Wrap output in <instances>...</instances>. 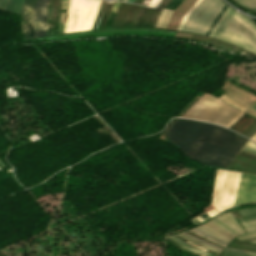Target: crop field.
<instances>
[{
    "instance_id": "crop-field-23",
    "label": "crop field",
    "mask_w": 256,
    "mask_h": 256,
    "mask_svg": "<svg viewBox=\"0 0 256 256\" xmlns=\"http://www.w3.org/2000/svg\"><path fill=\"white\" fill-rule=\"evenodd\" d=\"M178 235L181 236V237H183V238H185V239H187V240H189V241H191V242H193V243H196V244H198V245H200V246H203V247H205V248H207V249L213 250V251H215V252H217V253L220 252V251H218V250H216V249L207 247V246H205V245H203V244H201V243H199V242H197V241H195V240H193V239H191V238H189V237L183 236V235H181V234H178Z\"/></svg>"
},
{
    "instance_id": "crop-field-17",
    "label": "crop field",
    "mask_w": 256,
    "mask_h": 256,
    "mask_svg": "<svg viewBox=\"0 0 256 256\" xmlns=\"http://www.w3.org/2000/svg\"><path fill=\"white\" fill-rule=\"evenodd\" d=\"M254 210H256V208L239 210L238 212L243 213V212H249V211H254ZM255 212H249V213H255ZM249 213H243V214H249ZM243 214H240V215H243ZM250 215H253V214H250ZM244 216H248V215H244ZM244 216H241V217H244ZM253 219H256V216H251V217H247V218H239L238 221L242 222V221H248V220H253Z\"/></svg>"
},
{
    "instance_id": "crop-field-12",
    "label": "crop field",
    "mask_w": 256,
    "mask_h": 256,
    "mask_svg": "<svg viewBox=\"0 0 256 256\" xmlns=\"http://www.w3.org/2000/svg\"><path fill=\"white\" fill-rule=\"evenodd\" d=\"M24 0H8L5 10L19 13L21 12V7Z\"/></svg>"
},
{
    "instance_id": "crop-field-26",
    "label": "crop field",
    "mask_w": 256,
    "mask_h": 256,
    "mask_svg": "<svg viewBox=\"0 0 256 256\" xmlns=\"http://www.w3.org/2000/svg\"><path fill=\"white\" fill-rule=\"evenodd\" d=\"M253 221H255V220H253ZM248 222H251V221H248ZM243 223H247V222H242L241 224H243ZM253 225H256V222L244 224V225H242V226H243L244 228H246V227H250V226H253ZM254 227H256V226H254ZM254 227L246 228L245 230L251 229V228H254Z\"/></svg>"
},
{
    "instance_id": "crop-field-42",
    "label": "crop field",
    "mask_w": 256,
    "mask_h": 256,
    "mask_svg": "<svg viewBox=\"0 0 256 256\" xmlns=\"http://www.w3.org/2000/svg\"><path fill=\"white\" fill-rule=\"evenodd\" d=\"M251 243H254V242H256V240L255 241H250Z\"/></svg>"
},
{
    "instance_id": "crop-field-14",
    "label": "crop field",
    "mask_w": 256,
    "mask_h": 256,
    "mask_svg": "<svg viewBox=\"0 0 256 256\" xmlns=\"http://www.w3.org/2000/svg\"><path fill=\"white\" fill-rule=\"evenodd\" d=\"M165 12H166V10L164 9L155 27H158V26H159V24H160V22H161V20H162V18H163V16H164V14H165ZM172 13H173V11H169V10L167 11V13H166V15H165V17H164V19H163V21H162L160 27H163V28L166 27V25H167V23H168V21H169L171 15H172Z\"/></svg>"
},
{
    "instance_id": "crop-field-7",
    "label": "crop field",
    "mask_w": 256,
    "mask_h": 256,
    "mask_svg": "<svg viewBox=\"0 0 256 256\" xmlns=\"http://www.w3.org/2000/svg\"><path fill=\"white\" fill-rule=\"evenodd\" d=\"M254 201H256V176L241 173L233 207Z\"/></svg>"
},
{
    "instance_id": "crop-field-38",
    "label": "crop field",
    "mask_w": 256,
    "mask_h": 256,
    "mask_svg": "<svg viewBox=\"0 0 256 256\" xmlns=\"http://www.w3.org/2000/svg\"><path fill=\"white\" fill-rule=\"evenodd\" d=\"M256 103V102H255ZM252 105H254V106H256V104H252ZM250 108H252V109H254V110H256V108L255 107H253V106H251Z\"/></svg>"
},
{
    "instance_id": "crop-field-18",
    "label": "crop field",
    "mask_w": 256,
    "mask_h": 256,
    "mask_svg": "<svg viewBox=\"0 0 256 256\" xmlns=\"http://www.w3.org/2000/svg\"><path fill=\"white\" fill-rule=\"evenodd\" d=\"M228 6H226L224 4L222 10L220 11L218 17L216 18V20L213 22V24L211 25V27L208 29V31L205 33L206 36H209V34L211 33V31L213 30V28L215 27V25L217 24V22L219 21V19L221 18V16L223 15V13L225 12V10L227 9Z\"/></svg>"
},
{
    "instance_id": "crop-field-34",
    "label": "crop field",
    "mask_w": 256,
    "mask_h": 256,
    "mask_svg": "<svg viewBox=\"0 0 256 256\" xmlns=\"http://www.w3.org/2000/svg\"><path fill=\"white\" fill-rule=\"evenodd\" d=\"M255 229H256V228H255ZM255 229H251V230H255ZM251 230H247L246 232L251 231ZM254 232H256V231L248 232V233H245V234H243V235L250 234V233H254ZM241 236H242V235H241Z\"/></svg>"
},
{
    "instance_id": "crop-field-5",
    "label": "crop field",
    "mask_w": 256,
    "mask_h": 256,
    "mask_svg": "<svg viewBox=\"0 0 256 256\" xmlns=\"http://www.w3.org/2000/svg\"><path fill=\"white\" fill-rule=\"evenodd\" d=\"M223 4L221 0H202L187 17L181 31L204 35Z\"/></svg>"
},
{
    "instance_id": "crop-field-2",
    "label": "crop field",
    "mask_w": 256,
    "mask_h": 256,
    "mask_svg": "<svg viewBox=\"0 0 256 256\" xmlns=\"http://www.w3.org/2000/svg\"><path fill=\"white\" fill-rule=\"evenodd\" d=\"M214 97L205 93L195 101L181 117L198 119L229 127L243 115L245 109L248 108L224 95L219 99ZM221 100L242 110V112L228 106Z\"/></svg>"
},
{
    "instance_id": "crop-field-22",
    "label": "crop field",
    "mask_w": 256,
    "mask_h": 256,
    "mask_svg": "<svg viewBox=\"0 0 256 256\" xmlns=\"http://www.w3.org/2000/svg\"><path fill=\"white\" fill-rule=\"evenodd\" d=\"M223 252L237 255V256H256V255H252V254H247V253H242V252H237V251H232V250H227V249H224ZM222 255H224V254H222ZM225 256H228V255H225Z\"/></svg>"
},
{
    "instance_id": "crop-field-36",
    "label": "crop field",
    "mask_w": 256,
    "mask_h": 256,
    "mask_svg": "<svg viewBox=\"0 0 256 256\" xmlns=\"http://www.w3.org/2000/svg\"><path fill=\"white\" fill-rule=\"evenodd\" d=\"M190 243V242H189ZM191 244H193V243H191ZM193 245H195V244H193ZM195 246H197V247H199V248H201V249H203V250H207V249H205V248H203V247H200V246H198V245H195Z\"/></svg>"
},
{
    "instance_id": "crop-field-13",
    "label": "crop field",
    "mask_w": 256,
    "mask_h": 256,
    "mask_svg": "<svg viewBox=\"0 0 256 256\" xmlns=\"http://www.w3.org/2000/svg\"><path fill=\"white\" fill-rule=\"evenodd\" d=\"M67 5H68V0H63L61 14H60V20H59V26H58V33H63Z\"/></svg>"
},
{
    "instance_id": "crop-field-9",
    "label": "crop field",
    "mask_w": 256,
    "mask_h": 256,
    "mask_svg": "<svg viewBox=\"0 0 256 256\" xmlns=\"http://www.w3.org/2000/svg\"><path fill=\"white\" fill-rule=\"evenodd\" d=\"M36 0H25V4L21 13V21H22V32L23 37L25 38H31L33 36V29H32V19L31 14L33 12L34 6H35ZM23 18H25V28H26V36L24 34V28H23Z\"/></svg>"
},
{
    "instance_id": "crop-field-45",
    "label": "crop field",
    "mask_w": 256,
    "mask_h": 256,
    "mask_svg": "<svg viewBox=\"0 0 256 256\" xmlns=\"http://www.w3.org/2000/svg\"><path fill=\"white\" fill-rule=\"evenodd\" d=\"M243 151V150H242ZM246 152V151H245ZM256 155V154H255Z\"/></svg>"
},
{
    "instance_id": "crop-field-35",
    "label": "crop field",
    "mask_w": 256,
    "mask_h": 256,
    "mask_svg": "<svg viewBox=\"0 0 256 256\" xmlns=\"http://www.w3.org/2000/svg\"><path fill=\"white\" fill-rule=\"evenodd\" d=\"M192 231V230H191ZM194 232V231H193ZM196 233V232H195ZM198 234V233H197ZM200 235V234H199ZM202 236V235H201ZM204 237V236H203ZM205 239H207V240H209V241H211V242H214V241H212V240H210V239H208V238H206L205 237ZM214 243H216V242H214ZM216 244H218V243H216ZM220 245V244H219ZM222 246V245H221ZM224 247V246H223Z\"/></svg>"
},
{
    "instance_id": "crop-field-16",
    "label": "crop field",
    "mask_w": 256,
    "mask_h": 256,
    "mask_svg": "<svg viewBox=\"0 0 256 256\" xmlns=\"http://www.w3.org/2000/svg\"><path fill=\"white\" fill-rule=\"evenodd\" d=\"M205 226L211 228L212 230L222 234L223 236L229 238V239H233L234 237H232L231 235H229L228 233H226L225 231H223L222 229H220L219 227H217L216 225H214L213 223L209 222L204 224Z\"/></svg>"
},
{
    "instance_id": "crop-field-1",
    "label": "crop field",
    "mask_w": 256,
    "mask_h": 256,
    "mask_svg": "<svg viewBox=\"0 0 256 256\" xmlns=\"http://www.w3.org/2000/svg\"><path fill=\"white\" fill-rule=\"evenodd\" d=\"M166 133L186 156L202 164L222 167L227 166L247 140L226 128L180 118Z\"/></svg>"
},
{
    "instance_id": "crop-field-30",
    "label": "crop field",
    "mask_w": 256,
    "mask_h": 256,
    "mask_svg": "<svg viewBox=\"0 0 256 256\" xmlns=\"http://www.w3.org/2000/svg\"><path fill=\"white\" fill-rule=\"evenodd\" d=\"M213 220H215V219H213ZM213 220H212V221H213ZM212 221H211V222H212ZM215 221L218 222L217 220H215ZM215 221H214V222H215ZM214 222H213V223H214ZM216 222H215V223H216ZM218 223H219V222H218ZM218 223H217V224H218ZM217 224H216V225H217ZM220 224H221V223H220ZM220 224H218V225H220ZM221 225H222V224H221ZM221 225H220V226H221ZM220 226H219V227H220ZM223 226H224V225H223ZM223 226H221V227H223ZM224 227H226V226H224ZM224 227H223V228H224ZM226 228H227V227H226ZM226 228H224V229H226ZM227 229H229V228H227ZM227 229H226V230H227ZM229 230H230V229H229ZM229 230H227V231H229ZM230 231H232V230H230ZM230 231H229V232H230ZM232 232H233V231H232ZM232 232H230V233H232ZM234 233H235V232H234ZM234 233H232V234L235 235L236 233H235V234H234ZM237 235H238V234H237ZM237 235H235V236H237Z\"/></svg>"
},
{
    "instance_id": "crop-field-21",
    "label": "crop field",
    "mask_w": 256,
    "mask_h": 256,
    "mask_svg": "<svg viewBox=\"0 0 256 256\" xmlns=\"http://www.w3.org/2000/svg\"><path fill=\"white\" fill-rule=\"evenodd\" d=\"M243 150L256 153V144L249 140L247 144L244 146Z\"/></svg>"
},
{
    "instance_id": "crop-field-20",
    "label": "crop field",
    "mask_w": 256,
    "mask_h": 256,
    "mask_svg": "<svg viewBox=\"0 0 256 256\" xmlns=\"http://www.w3.org/2000/svg\"><path fill=\"white\" fill-rule=\"evenodd\" d=\"M169 237H170V236H169ZM171 237H173L174 239H176L177 241H179L180 243H182L184 246H186V247H188V248H191V249H193V250H196V251H199V252H202V253L211 255V256H215V255H212V254H209V253L200 251V250H198V249H195V248L191 247L190 245H188L187 243H185L184 241H182V240H180V239H178V238H176V237H174V236H171ZM171 237H170V238H171ZM173 238H171V239H173ZM174 239H173V240H174ZM176 240H174V241H176ZM177 241H176V242H177ZM179 242H177V243H179ZM180 243H179V244H180ZM182 244H180V245H182ZM183 245H182V246H183ZM184 246H183V247H184ZM186 247H185V248H186ZM188 248H187V249H188ZM191 249H190V250H191ZM193 250H192V251H193ZM196 251H195V252H196ZM199 252H198V253H199ZM202 253H200V254H202ZM205 254H203V255H205ZM208 255H207V256H208Z\"/></svg>"
},
{
    "instance_id": "crop-field-32",
    "label": "crop field",
    "mask_w": 256,
    "mask_h": 256,
    "mask_svg": "<svg viewBox=\"0 0 256 256\" xmlns=\"http://www.w3.org/2000/svg\"><path fill=\"white\" fill-rule=\"evenodd\" d=\"M254 236H256V234H252V235H248V236L239 237V238H237V239H238V240H239V239L243 240V239L251 238V237H254Z\"/></svg>"
},
{
    "instance_id": "crop-field-37",
    "label": "crop field",
    "mask_w": 256,
    "mask_h": 256,
    "mask_svg": "<svg viewBox=\"0 0 256 256\" xmlns=\"http://www.w3.org/2000/svg\"><path fill=\"white\" fill-rule=\"evenodd\" d=\"M251 139L256 141V133L251 137Z\"/></svg>"
},
{
    "instance_id": "crop-field-31",
    "label": "crop field",
    "mask_w": 256,
    "mask_h": 256,
    "mask_svg": "<svg viewBox=\"0 0 256 256\" xmlns=\"http://www.w3.org/2000/svg\"><path fill=\"white\" fill-rule=\"evenodd\" d=\"M246 56L256 60V54H253V53H250V52H247Z\"/></svg>"
},
{
    "instance_id": "crop-field-43",
    "label": "crop field",
    "mask_w": 256,
    "mask_h": 256,
    "mask_svg": "<svg viewBox=\"0 0 256 256\" xmlns=\"http://www.w3.org/2000/svg\"><path fill=\"white\" fill-rule=\"evenodd\" d=\"M129 2H132L133 0H128Z\"/></svg>"
},
{
    "instance_id": "crop-field-33",
    "label": "crop field",
    "mask_w": 256,
    "mask_h": 256,
    "mask_svg": "<svg viewBox=\"0 0 256 256\" xmlns=\"http://www.w3.org/2000/svg\"><path fill=\"white\" fill-rule=\"evenodd\" d=\"M158 0H152L151 3H150V6H156Z\"/></svg>"
},
{
    "instance_id": "crop-field-6",
    "label": "crop field",
    "mask_w": 256,
    "mask_h": 256,
    "mask_svg": "<svg viewBox=\"0 0 256 256\" xmlns=\"http://www.w3.org/2000/svg\"><path fill=\"white\" fill-rule=\"evenodd\" d=\"M239 174L217 169L210 205L219 211L232 207Z\"/></svg>"
},
{
    "instance_id": "crop-field-44",
    "label": "crop field",
    "mask_w": 256,
    "mask_h": 256,
    "mask_svg": "<svg viewBox=\"0 0 256 256\" xmlns=\"http://www.w3.org/2000/svg\"><path fill=\"white\" fill-rule=\"evenodd\" d=\"M124 1H127V0H124Z\"/></svg>"
},
{
    "instance_id": "crop-field-10",
    "label": "crop field",
    "mask_w": 256,
    "mask_h": 256,
    "mask_svg": "<svg viewBox=\"0 0 256 256\" xmlns=\"http://www.w3.org/2000/svg\"><path fill=\"white\" fill-rule=\"evenodd\" d=\"M215 219H217L218 221H220L221 223H223L227 227L231 228L232 230H234L239 235L245 232L242 229V227L237 223V221L233 218L231 213H226V214L221 215V216H219Z\"/></svg>"
},
{
    "instance_id": "crop-field-15",
    "label": "crop field",
    "mask_w": 256,
    "mask_h": 256,
    "mask_svg": "<svg viewBox=\"0 0 256 256\" xmlns=\"http://www.w3.org/2000/svg\"><path fill=\"white\" fill-rule=\"evenodd\" d=\"M235 1L251 8V9L256 10V0H235ZM234 3H236V2H234ZM236 4H238V3H236ZM238 5H240V4H238ZM240 6H242V5H240ZM242 7H244V6H242ZM244 8H246V7H244ZM246 9H248V8H246ZM251 9H248V10L252 11V12H256V11L251 10Z\"/></svg>"
},
{
    "instance_id": "crop-field-8",
    "label": "crop field",
    "mask_w": 256,
    "mask_h": 256,
    "mask_svg": "<svg viewBox=\"0 0 256 256\" xmlns=\"http://www.w3.org/2000/svg\"><path fill=\"white\" fill-rule=\"evenodd\" d=\"M48 0H37V4L32 15L33 27L35 37L45 35V22L47 16ZM36 18H38L37 30L36 33Z\"/></svg>"
},
{
    "instance_id": "crop-field-19",
    "label": "crop field",
    "mask_w": 256,
    "mask_h": 256,
    "mask_svg": "<svg viewBox=\"0 0 256 256\" xmlns=\"http://www.w3.org/2000/svg\"><path fill=\"white\" fill-rule=\"evenodd\" d=\"M184 0H171L165 9L175 11Z\"/></svg>"
},
{
    "instance_id": "crop-field-41",
    "label": "crop field",
    "mask_w": 256,
    "mask_h": 256,
    "mask_svg": "<svg viewBox=\"0 0 256 256\" xmlns=\"http://www.w3.org/2000/svg\"><path fill=\"white\" fill-rule=\"evenodd\" d=\"M203 226V225H202ZM205 227V226H204ZM199 228V227H198ZM207 228V227H206ZM201 229V228H200ZM209 229V228H208ZM203 230V229H202ZM205 231V230H204ZM212 231V230H211ZM207 232V231H206ZM214 232V231H213ZM216 233V232H215ZM223 237V236H222ZM225 238V237H224ZM227 239V238H226ZM229 240V239H228ZM231 241V240H230Z\"/></svg>"
},
{
    "instance_id": "crop-field-4",
    "label": "crop field",
    "mask_w": 256,
    "mask_h": 256,
    "mask_svg": "<svg viewBox=\"0 0 256 256\" xmlns=\"http://www.w3.org/2000/svg\"><path fill=\"white\" fill-rule=\"evenodd\" d=\"M101 0H69L64 33L91 30Z\"/></svg>"
},
{
    "instance_id": "crop-field-25",
    "label": "crop field",
    "mask_w": 256,
    "mask_h": 256,
    "mask_svg": "<svg viewBox=\"0 0 256 256\" xmlns=\"http://www.w3.org/2000/svg\"><path fill=\"white\" fill-rule=\"evenodd\" d=\"M197 230H199V231H201V232H203V233H205V234H207V235H209V236H211V237H213V238H215V239H217V240H219V241H221V242H223V243H225V244H228V243H226V242H224V241H222V240H220V239H218V238H216V237H214V236H212V235H210V234H208V233H206V232H204V231H202V230H200V229H198V228H196ZM193 230H195V229H193ZM196 231V230H195ZM198 232V231H197ZM200 233V232H199ZM202 234V233H201ZM204 235V234H203ZM207 235H205V236H207ZM209 236H207V237H209ZM211 237H209V238H211ZM213 238H211V239H213ZM215 239H213V240H215ZM217 240H215V241H217ZM219 241H217V242H219ZM221 242H219V243H221ZM223 243H221V244H223ZM225 244H223V245H225Z\"/></svg>"
},
{
    "instance_id": "crop-field-27",
    "label": "crop field",
    "mask_w": 256,
    "mask_h": 256,
    "mask_svg": "<svg viewBox=\"0 0 256 256\" xmlns=\"http://www.w3.org/2000/svg\"><path fill=\"white\" fill-rule=\"evenodd\" d=\"M170 0H164L160 5L159 7L157 8V11H162V9L167 5V3L169 2Z\"/></svg>"
},
{
    "instance_id": "crop-field-29",
    "label": "crop field",
    "mask_w": 256,
    "mask_h": 256,
    "mask_svg": "<svg viewBox=\"0 0 256 256\" xmlns=\"http://www.w3.org/2000/svg\"><path fill=\"white\" fill-rule=\"evenodd\" d=\"M184 233H186V232H184ZM186 234H188V233H186ZM188 235H190V234H188ZM190 236H192V235H190ZM190 236H189V237H190ZM192 237H194V236H192ZM192 237H191V238H192ZM194 238H196V237H194ZM194 238H193V239H194ZM197 239H198V238H197ZM197 239H195V240H197ZM199 240H200V239H199ZM199 240H197V241H199ZM201 241H202V240H201ZM201 241H199V242H201ZM201 243H204V242H201ZM206 243H207V242H206ZM206 243H204V244H206ZM206 245H209V244H206ZM211 245H212V244H211ZM211 245H209V246H211ZM213 246H214V245H213ZM213 246H211V247H213ZM216 247H217V246H216ZM216 247H214V248H216ZM218 248H220V247H218ZM218 248H216V249H218ZM220 249H222V248H220ZM220 249H218V250H220ZM220 251H222V250H220Z\"/></svg>"
},
{
    "instance_id": "crop-field-28",
    "label": "crop field",
    "mask_w": 256,
    "mask_h": 256,
    "mask_svg": "<svg viewBox=\"0 0 256 256\" xmlns=\"http://www.w3.org/2000/svg\"><path fill=\"white\" fill-rule=\"evenodd\" d=\"M6 3H7V0H0V8L4 10Z\"/></svg>"
},
{
    "instance_id": "crop-field-3",
    "label": "crop field",
    "mask_w": 256,
    "mask_h": 256,
    "mask_svg": "<svg viewBox=\"0 0 256 256\" xmlns=\"http://www.w3.org/2000/svg\"><path fill=\"white\" fill-rule=\"evenodd\" d=\"M210 36L256 53V26L229 7Z\"/></svg>"
},
{
    "instance_id": "crop-field-40",
    "label": "crop field",
    "mask_w": 256,
    "mask_h": 256,
    "mask_svg": "<svg viewBox=\"0 0 256 256\" xmlns=\"http://www.w3.org/2000/svg\"><path fill=\"white\" fill-rule=\"evenodd\" d=\"M254 239H256V237H255V238H251V239H247V240H245V241H250V240H254Z\"/></svg>"
},
{
    "instance_id": "crop-field-39",
    "label": "crop field",
    "mask_w": 256,
    "mask_h": 256,
    "mask_svg": "<svg viewBox=\"0 0 256 256\" xmlns=\"http://www.w3.org/2000/svg\"><path fill=\"white\" fill-rule=\"evenodd\" d=\"M104 5H105V3H104ZM103 7H104V6H103ZM102 10H103V9H102ZM101 13H102V11H101ZM100 16H101V14H100ZM99 19H100V17H99ZM98 22H99V20H98ZM97 25H98V23H97ZM97 25H96V28H97ZM96 28H95V29H96Z\"/></svg>"
},
{
    "instance_id": "crop-field-24",
    "label": "crop field",
    "mask_w": 256,
    "mask_h": 256,
    "mask_svg": "<svg viewBox=\"0 0 256 256\" xmlns=\"http://www.w3.org/2000/svg\"><path fill=\"white\" fill-rule=\"evenodd\" d=\"M200 1H201V0H198V1L191 7V9L185 14V16H184V18H183V20H182V23H181V25H180V27H179L178 30H180V28H181L182 24L184 23L186 17L189 15V13L192 11V9H193Z\"/></svg>"
},
{
    "instance_id": "crop-field-11",
    "label": "crop field",
    "mask_w": 256,
    "mask_h": 256,
    "mask_svg": "<svg viewBox=\"0 0 256 256\" xmlns=\"http://www.w3.org/2000/svg\"><path fill=\"white\" fill-rule=\"evenodd\" d=\"M218 211H216L213 207H211L210 205L206 208V211L200 215V216H197L195 218L192 219V221L196 224L200 223L201 221L203 220H206L212 216H214L215 214H217Z\"/></svg>"
}]
</instances>
